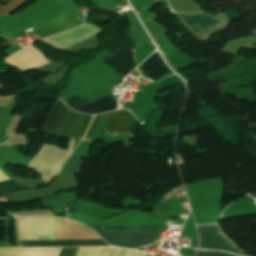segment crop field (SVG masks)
<instances>
[{
    "label": "crop field",
    "mask_w": 256,
    "mask_h": 256,
    "mask_svg": "<svg viewBox=\"0 0 256 256\" xmlns=\"http://www.w3.org/2000/svg\"><path fill=\"white\" fill-rule=\"evenodd\" d=\"M112 245L136 248L154 242L159 224L89 226Z\"/></svg>",
    "instance_id": "obj_1"
},
{
    "label": "crop field",
    "mask_w": 256,
    "mask_h": 256,
    "mask_svg": "<svg viewBox=\"0 0 256 256\" xmlns=\"http://www.w3.org/2000/svg\"><path fill=\"white\" fill-rule=\"evenodd\" d=\"M94 116L82 115L71 111L58 99L48 121L43 126V131L61 137H84Z\"/></svg>",
    "instance_id": "obj_2"
},
{
    "label": "crop field",
    "mask_w": 256,
    "mask_h": 256,
    "mask_svg": "<svg viewBox=\"0 0 256 256\" xmlns=\"http://www.w3.org/2000/svg\"><path fill=\"white\" fill-rule=\"evenodd\" d=\"M176 15L196 37L202 40H208L215 32L228 27V24L204 13H196L192 15L176 13Z\"/></svg>",
    "instance_id": "obj_3"
},
{
    "label": "crop field",
    "mask_w": 256,
    "mask_h": 256,
    "mask_svg": "<svg viewBox=\"0 0 256 256\" xmlns=\"http://www.w3.org/2000/svg\"><path fill=\"white\" fill-rule=\"evenodd\" d=\"M200 232V248L219 249L236 252L239 254L251 256L241 251L222 231L220 225H202L197 226Z\"/></svg>",
    "instance_id": "obj_4"
},
{
    "label": "crop field",
    "mask_w": 256,
    "mask_h": 256,
    "mask_svg": "<svg viewBox=\"0 0 256 256\" xmlns=\"http://www.w3.org/2000/svg\"><path fill=\"white\" fill-rule=\"evenodd\" d=\"M101 115L95 116L84 139H89ZM137 129V121L127 110L111 112L106 122L105 133H133Z\"/></svg>",
    "instance_id": "obj_5"
},
{
    "label": "crop field",
    "mask_w": 256,
    "mask_h": 256,
    "mask_svg": "<svg viewBox=\"0 0 256 256\" xmlns=\"http://www.w3.org/2000/svg\"><path fill=\"white\" fill-rule=\"evenodd\" d=\"M103 62L110 65L125 76L136 67L133 48L122 49L120 51L114 52Z\"/></svg>",
    "instance_id": "obj_6"
},
{
    "label": "crop field",
    "mask_w": 256,
    "mask_h": 256,
    "mask_svg": "<svg viewBox=\"0 0 256 256\" xmlns=\"http://www.w3.org/2000/svg\"><path fill=\"white\" fill-rule=\"evenodd\" d=\"M73 27H76V25L66 14H64L34 31L44 38Z\"/></svg>",
    "instance_id": "obj_7"
},
{
    "label": "crop field",
    "mask_w": 256,
    "mask_h": 256,
    "mask_svg": "<svg viewBox=\"0 0 256 256\" xmlns=\"http://www.w3.org/2000/svg\"><path fill=\"white\" fill-rule=\"evenodd\" d=\"M163 65H165L164 60L162 59L158 52H155L144 63H142L140 67L144 74L148 76L160 67H162ZM168 70L170 69L165 65L148 77L153 78L157 81Z\"/></svg>",
    "instance_id": "obj_8"
},
{
    "label": "crop field",
    "mask_w": 256,
    "mask_h": 256,
    "mask_svg": "<svg viewBox=\"0 0 256 256\" xmlns=\"http://www.w3.org/2000/svg\"><path fill=\"white\" fill-rule=\"evenodd\" d=\"M73 109L82 111L85 113H89V114H98V113L117 109V101L111 94L104 99L96 100L85 106H81Z\"/></svg>",
    "instance_id": "obj_9"
},
{
    "label": "crop field",
    "mask_w": 256,
    "mask_h": 256,
    "mask_svg": "<svg viewBox=\"0 0 256 256\" xmlns=\"http://www.w3.org/2000/svg\"><path fill=\"white\" fill-rule=\"evenodd\" d=\"M21 247L39 246H110L104 241H80V242H20Z\"/></svg>",
    "instance_id": "obj_10"
},
{
    "label": "crop field",
    "mask_w": 256,
    "mask_h": 256,
    "mask_svg": "<svg viewBox=\"0 0 256 256\" xmlns=\"http://www.w3.org/2000/svg\"><path fill=\"white\" fill-rule=\"evenodd\" d=\"M19 187H23V186L13 182L12 180L1 182L0 183V195L4 194L12 189L19 188Z\"/></svg>",
    "instance_id": "obj_11"
},
{
    "label": "crop field",
    "mask_w": 256,
    "mask_h": 256,
    "mask_svg": "<svg viewBox=\"0 0 256 256\" xmlns=\"http://www.w3.org/2000/svg\"><path fill=\"white\" fill-rule=\"evenodd\" d=\"M80 248H63L59 256H77Z\"/></svg>",
    "instance_id": "obj_12"
},
{
    "label": "crop field",
    "mask_w": 256,
    "mask_h": 256,
    "mask_svg": "<svg viewBox=\"0 0 256 256\" xmlns=\"http://www.w3.org/2000/svg\"><path fill=\"white\" fill-rule=\"evenodd\" d=\"M197 256H232V255H228V254H224V253H220V252H201V251H199L197 253Z\"/></svg>",
    "instance_id": "obj_13"
},
{
    "label": "crop field",
    "mask_w": 256,
    "mask_h": 256,
    "mask_svg": "<svg viewBox=\"0 0 256 256\" xmlns=\"http://www.w3.org/2000/svg\"><path fill=\"white\" fill-rule=\"evenodd\" d=\"M2 89L1 85H0V90Z\"/></svg>",
    "instance_id": "obj_14"
}]
</instances>
